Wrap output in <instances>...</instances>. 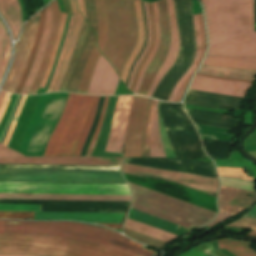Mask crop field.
Listing matches in <instances>:
<instances>
[{
	"mask_svg": "<svg viewBox=\"0 0 256 256\" xmlns=\"http://www.w3.org/2000/svg\"><path fill=\"white\" fill-rule=\"evenodd\" d=\"M209 37L207 55L256 56L254 0H202Z\"/></svg>",
	"mask_w": 256,
	"mask_h": 256,
	"instance_id": "1",
	"label": "crop field"
},
{
	"mask_svg": "<svg viewBox=\"0 0 256 256\" xmlns=\"http://www.w3.org/2000/svg\"><path fill=\"white\" fill-rule=\"evenodd\" d=\"M100 96L69 94L44 156H79L94 121Z\"/></svg>",
	"mask_w": 256,
	"mask_h": 256,
	"instance_id": "2",
	"label": "crop field"
},
{
	"mask_svg": "<svg viewBox=\"0 0 256 256\" xmlns=\"http://www.w3.org/2000/svg\"><path fill=\"white\" fill-rule=\"evenodd\" d=\"M0 228H16V229H38V230H51L57 232H63L68 234H74L79 236L91 237L96 239L108 240L116 242L122 245L133 247L139 250H143L142 245L118 234L117 232L101 227L75 224L69 222H26V221H11V220H0ZM51 231H37V230H15V229H0V233H15V234H38V235H50L61 238H67L72 240H78L83 242H89L94 244L105 245L127 251L140 256H153L150 251L143 250L139 251L126 246H122L116 243L96 240L91 238L79 237L74 235H68L63 233L51 232Z\"/></svg>",
	"mask_w": 256,
	"mask_h": 256,
	"instance_id": "3",
	"label": "crop field"
},
{
	"mask_svg": "<svg viewBox=\"0 0 256 256\" xmlns=\"http://www.w3.org/2000/svg\"><path fill=\"white\" fill-rule=\"evenodd\" d=\"M0 254L34 256H137L113 248L50 236L0 234Z\"/></svg>",
	"mask_w": 256,
	"mask_h": 256,
	"instance_id": "4",
	"label": "crop field"
},
{
	"mask_svg": "<svg viewBox=\"0 0 256 256\" xmlns=\"http://www.w3.org/2000/svg\"><path fill=\"white\" fill-rule=\"evenodd\" d=\"M109 38L102 54L120 76L138 40L133 0H105Z\"/></svg>",
	"mask_w": 256,
	"mask_h": 256,
	"instance_id": "5",
	"label": "crop field"
},
{
	"mask_svg": "<svg viewBox=\"0 0 256 256\" xmlns=\"http://www.w3.org/2000/svg\"><path fill=\"white\" fill-rule=\"evenodd\" d=\"M133 195L132 208L173 222L183 227L203 226L216 213L128 183Z\"/></svg>",
	"mask_w": 256,
	"mask_h": 256,
	"instance_id": "6",
	"label": "crop field"
},
{
	"mask_svg": "<svg viewBox=\"0 0 256 256\" xmlns=\"http://www.w3.org/2000/svg\"><path fill=\"white\" fill-rule=\"evenodd\" d=\"M0 193L130 195L127 185L0 183Z\"/></svg>",
	"mask_w": 256,
	"mask_h": 256,
	"instance_id": "7",
	"label": "crop field"
},
{
	"mask_svg": "<svg viewBox=\"0 0 256 256\" xmlns=\"http://www.w3.org/2000/svg\"><path fill=\"white\" fill-rule=\"evenodd\" d=\"M126 181L217 213L216 198L176 183L124 175Z\"/></svg>",
	"mask_w": 256,
	"mask_h": 256,
	"instance_id": "8",
	"label": "crop field"
},
{
	"mask_svg": "<svg viewBox=\"0 0 256 256\" xmlns=\"http://www.w3.org/2000/svg\"><path fill=\"white\" fill-rule=\"evenodd\" d=\"M33 212H0V219H32ZM124 214H102V213H56V212H34L33 219L49 220H74L88 223L120 224ZM124 215L121 225L98 224L113 229H121L126 219Z\"/></svg>",
	"mask_w": 256,
	"mask_h": 256,
	"instance_id": "9",
	"label": "crop field"
},
{
	"mask_svg": "<svg viewBox=\"0 0 256 256\" xmlns=\"http://www.w3.org/2000/svg\"><path fill=\"white\" fill-rule=\"evenodd\" d=\"M38 18L39 13L25 23L21 41L16 43L15 57L2 90L15 92L33 46Z\"/></svg>",
	"mask_w": 256,
	"mask_h": 256,
	"instance_id": "10",
	"label": "crop field"
},
{
	"mask_svg": "<svg viewBox=\"0 0 256 256\" xmlns=\"http://www.w3.org/2000/svg\"><path fill=\"white\" fill-rule=\"evenodd\" d=\"M122 172L172 180L195 189L216 192L217 179L122 163Z\"/></svg>",
	"mask_w": 256,
	"mask_h": 256,
	"instance_id": "11",
	"label": "crop field"
},
{
	"mask_svg": "<svg viewBox=\"0 0 256 256\" xmlns=\"http://www.w3.org/2000/svg\"><path fill=\"white\" fill-rule=\"evenodd\" d=\"M147 103V98H133L125 133L123 157H141L142 126Z\"/></svg>",
	"mask_w": 256,
	"mask_h": 256,
	"instance_id": "12",
	"label": "crop field"
},
{
	"mask_svg": "<svg viewBox=\"0 0 256 256\" xmlns=\"http://www.w3.org/2000/svg\"><path fill=\"white\" fill-rule=\"evenodd\" d=\"M161 25V43L158 52L155 54L149 65L142 84L137 94L146 95L156 73L160 69L170 48L169 18L166 0H158Z\"/></svg>",
	"mask_w": 256,
	"mask_h": 256,
	"instance_id": "13",
	"label": "crop field"
},
{
	"mask_svg": "<svg viewBox=\"0 0 256 256\" xmlns=\"http://www.w3.org/2000/svg\"><path fill=\"white\" fill-rule=\"evenodd\" d=\"M121 160L122 158H115V157L2 158L0 159V164L120 166Z\"/></svg>",
	"mask_w": 256,
	"mask_h": 256,
	"instance_id": "14",
	"label": "crop field"
},
{
	"mask_svg": "<svg viewBox=\"0 0 256 256\" xmlns=\"http://www.w3.org/2000/svg\"><path fill=\"white\" fill-rule=\"evenodd\" d=\"M132 97L133 95L118 97L113 116L112 128L105 151L121 153Z\"/></svg>",
	"mask_w": 256,
	"mask_h": 256,
	"instance_id": "15",
	"label": "crop field"
},
{
	"mask_svg": "<svg viewBox=\"0 0 256 256\" xmlns=\"http://www.w3.org/2000/svg\"><path fill=\"white\" fill-rule=\"evenodd\" d=\"M194 25H195V34H196V57L189 68V70L184 74V76L178 81L175 85L168 101L169 102H180L182 94L185 90V87L192 75L196 71L206 48V36L203 23L202 14L193 15Z\"/></svg>",
	"mask_w": 256,
	"mask_h": 256,
	"instance_id": "16",
	"label": "crop field"
},
{
	"mask_svg": "<svg viewBox=\"0 0 256 256\" xmlns=\"http://www.w3.org/2000/svg\"><path fill=\"white\" fill-rule=\"evenodd\" d=\"M119 77L102 54L97 62L87 94L114 95Z\"/></svg>",
	"mask_w": 256,
	"mask_h": 256,
	"instance_id": "17",
	"label": "crop field"
},
{
	"mask_svg": "<svg viewBox=\"0 0 256 256\" xmlns=\"http://www.w3.org/2000/svg\"><path fill=\"white\" fill-rule=\"evenodd\" d=\"M250 86L251 84L249 83L213 79L196 75L189 88L224 95L244 97Z\"/></svg>",
	"mask_w": 256,
	"mask_h": 256,
	"instance_id": "18",
	"label": "crop field"
},
{
	"mask_svg": "<svg viewBox=\"0 0 256 256\" xmlns=\"http://www.w3.org/2000/svg\"><path fill=\"white\" fill-rule=\"evenodd\" d=\"M256 202V193L229 187L220 188L218 206L219 211L236 215ZM247 207H239V206Z\"/></svg>",
	"mask_w": 256,
	"mask_h": 256,
	"instance_id": "19",
	"label": "crop field"
},
{
	"mask_svg": "<svg viewBox=\"0 0 256 256\" xmlns=\"http://www.w3.org/2000/svg\"><path fill=\"white\" fill-rule=\"evenodd\" d=\"M168 2V8H169V17H170V32H171V48L169 51V54L162 65L161 69L159 70L158 74L156 75L153 84L147 94V97H151L153 91L155 90L159 80L164 76V74L170 69V67L175 62L179 48H180V42H179V34H178V27L177 22L175 18V10H174V2L173 0H167Z\"/></svg>",
	"mask_w": 256,
	"mask_h": 256,
	"instance_id": "20",
	"label": "crop field"
},
{
	"mask_svg": "<svg viewBox=\"0 0 256 256\" xmlns=\"http://www.w3.org/2000/svg\"><path fill=\"white\" fill-rule=\"evenodd\" d=\"M0 199L130 201V196L0 194Z\"/></svg>",
	"mask_w": 256,
	"mask_h": 256,
	"instance_id": "21",
	"label": "crop field"
},
{
	"mask_svg": "<svg viewBox=\"0 0 256 256\" xmlns=\"http://www.w3.org/2000/svg\"><path fill=\"white\" fill-rule=\"evenodd\" d=\"M51 4H52V16H53L52 29H51L48 45L46 47L42 63L40 65V68L38 70V73L36 75L35 81L33 83V86L31 88V91L29 94L37 93L38 87L43 79V76H44V73H45V70H46V67H47L53 46H54V43L56 41L57 31H58V27H59V23H60L61 12L59 11L56 0H53L51 2Z\"/></svg>",
	"mask_w": 256,
	"mask_h": 256,
	"instance_id": "22",
	"label": "crop field"
},
{
	"mask_svg": "<svg viewBox=\"0 0 256 256\" xmlns=\"http://www.w3.org/2000/svg\"><path fill=\"white\" fill-rule=\"evenodd\" d=\"M50 28H51V4L46 7L45 25H44V29H43L42 38L40 40L39 49L36 54L35 60L33 62L29 77H28L20 94H28L30 91L33 80L35 78V75L37 73V70H38L41 60H42V56H43V53H44V50H45V47H46V44L48 41Z\"/></svg>",
	"mask_w": 256,
	"mask_h": 256,
	"instance_id": "23",
	"label": "crop field"
},
{
	"mask_svg": "<svg viewBox=\"0 0 256 256\" xmlns=\"http://www.w3.org/2000/svg\"><path fill=\"white\" fill-rule=\"evenodd\" d=\"M203 65L256 70V57L207 56Z\"/></svg>",
	"mask_w": 256,
	"mask_h": 256,
	"instance_id": "24",
	"label": "crop field"
},
{
	"mask_svg": "<svg viewBox=\"0 0 256 256\" xmlns=\"http://www.w3.org/2000/svg\"><path fill=\"white\" fill-rule=\"evenodd\" d=\"M70 4H71L72 12L77 13V16H76V20H75V24H74L73 33H72V36H71V39H70L60 72H59V75L57 77V80H56V83L54 85L52 92L58 91L61 86L64 74L66 72V69H67V66H68L72 51H73V48L75 46L80 28H81L83 20H84L83 16H81L77 11V6L75 4V0H70Z\"/></svg>",
	"mask_w": 256,
	"mask_h": 256,
	"instance_id": "25",
	"label": "crop field"
},
{
	"mask_svg": "<svg viewBox=\"0 0 256 256\" xmlns=\"http://www.w3.org/2000/svg\"><path fill=\"white\" fill-rule=\"evenodd\" d=\"M0 12L9 24L16 40L21 26V10L17 0H0Z\"/></svg>",
	"mask_w": 256,
	"mask_h": 256,
	"instance_id": "26",
	"label": "crop field"
},
{
	"mask_svg": "<svg viewBox=\"0 0 256 256\" xmlns=\"http://www.w3.org/2000/svg\"><path fill=\"white\" fill-rule=\"evenodd\" d=\"M95 45V35L93 33V31L91 30L87 41L85 43V46L82 50V53L80 55L79 61L77 63L76 69L74 71L72 80L70 82L69 88H68V92H77V88L80 82V78L84 69V66L87 62L88 56L91 52V50L93 49Z\"/></svg>",
	"mask_w": 256,
	"mask_h": 256,
	"instance_id": "27",
	"label": "crop field"
},
{
	"mask_svg": "<svg viewBox=\"0 0 256 256\" xmlns=\"http://www.w3.org/2000/svg\"><path fill=\"white\" fill-rule=\"evenodd\" d=\"M198 73L229 77L233 79H245V80H251V81H255L254 76L256 75V71L236 70V69H228V68L213 67V66H203V65L199 69Z\"/></svg>",
	"mask_w": 256,
	"mask_h": 256,
	"instance_id": "28",
	"label": "crop field"
},
{
	"mask_svg": "<svg viewBox=\"0 0 256 256\" xmlns=\"http://www.w3.org/2000/svg\"><path fill=\"white\" fill-rule=\"evenodd\" d=\"M135 3V11H136V17H137V24H138V31H139V41L135 47V49L133 50V52L131 53L123 71L122 74L120 76V78L123 80V82L125 83L128 71L133 63V61L135 60V58L137 57L140 49L142 48L144 41H145V31H144V23H143V16H142V11H141V4H140V0H134Z\"/></svg>",
	"mask_w": 256,
	"mask_h": 256,
	"instance_id": "29",
	"label": "crop field"
},
{
	"mask_svg": "<svg viewBox=\"0 0 256 256\" xmlns=\"http://www.w3.org/2000/svg\"><path fill=\"white\" fill-rule=\"evenodd\" d=\"M124 227L165 242H168L178 237L129 218L127 219Z\"/></svg>",
	"mask_w": 256,
	"mask_h": 256,
	"instance_id": "30",
	"label": "crop field"
},
{
	"mask_svg": "<svg viewBox=\"0 0 256 256\" xmlns=\"http://www.w3.org/2000/svg\"><path fill=\"white\" fill-rule=\"evenodd\" d=\"M128 217L132 218L134 220L143 222L145 224L154 226L156 228L162 229L164 231L173 233V234L178 235V236H181V235L185 234L183 232H180V231L176 230L177 225H174V224H171L169 222L154 218L152 216L140 213V212L132 210V209L130 210V213H129Z\"/></svg>",
	"mask_w": 256,
	"mask_h": 256,
	"instance_id": "31",
	"label": "crop field"
},
{
	"mask_svg": "<svg viewBox=\"0 0 256 256\" xmlns=\"http://www.w3.org/2000/svg\"><path fill=\"white\" fill-rule=\"evenodd\" d=\"M158 101L155 102L150 127V157H166L163 151L157 118Z\"/></svg>",
	"mask_w": 256,
	"mask_h": 256,
	"instance_id": "32",
	"label": "crop field"
},
{
	"mask_svg": "<svg viewBox=\"0 0 256 256\" xmlns=\"http://www.w3.org/2000/svg\"><path fill=\"white\" fill-rule=\"evenodd\" d=\"M95 7L98 20V40L96 45L98 46L100 52H102L108 34V24L104 0H95Z\"/></svg>",
	"mask_w": 256,
	"mask_h": 256,
	"instance_id": "33",
	"label": "crop field"
},
{
	"mask_svg": "<svg viewBox=\"0 0 256 256\" xmlns=\"http://www.w3.org/2000/svg\"><path fill=\"white\" fill-rule=\"evenodd\" d=\"M100 52L97 50L96 45L94 47V49L92 50L88 62L85 66L83 75H82V79L79 85V89H78V94H86L87 93V89H88V85H89V81L91 78V74L92 71L96 65V62L100 56Z\"/></svg>",
	"mask_w": 256,
	"mask_h": 256,
	"instance_id": "34",
	"label": "crop field"
},
{
	"mask_svg": "<svg viewBox=\"0 0 256 256\" xmlns=\"http://www.w3.org/2000/svg\"><path fill=\"white\" fill-rule=\"evenodd\" d=\"M219 248H225L236 256H256V252L249 249V243L231 240H217Z\"/></svg>",
	"mask_w": 256,
	"mask_h": 256,
	"instance_id": "35",
	"label": "crop field"
},
{
	"mask_svg": "<svg viewBox=\"0 0 256 256\" xmlns=\"http://www.w3.org/2000/svg\"><path fill=\"white\" fill-rule=\"evenodd\" d=\"M44 16H45V9L40 11L39 27H38L37 35H36V38H35L34 46H33L32 52L30 54L27 67H26V69L24 71V74H23V76L21 78V81H20V83L18 85V88H17L15 93H19L20 92V90H21V88H22V86H23V84H24V82H25V80H26V78H27V76L29 74L32 62L34 60L35 54H36L37 49H38L39 40L41 38L43 24H44Z\"/></svg>",
	"mask_w": 256,
	"mask_h": 256,
	"instance_id": "36",
	"label": "crop field"
},
{
	"mask_svg": "<svg viewBox=\"0 0 256 256\" xmlns=\"http://www.w3.org/2000/svg\"><path fill=\"white\" fill-rule=\"evenodd\" d=\"M147 5H148V10H149V19H150V30H151V42H150V47L149 49L147 50L146 54L144 55L142 61L140 62L135 74H134V77H133V80H132V83H131V86L129 88V90L133 91V88L135 86V83L137 81V78L139 76V72L141 70V68L143 67L146 59L148 58V56L150 55L151 51H152V48L154 46V43H155V30H154V18H153V9H152V5L151 3H148L147 2Z\"/></svg>",
	"mask_w": 256,
	"mask_h": 256,
	"instance_id": "37",
	"label": "crop field"
},
{
	"mask_svg": "<svg viewBox=\"0 0 256 256\" xmlns=\"http://www.w3.org/2000/svg\"><path fill=\"white\" fill-rule=\"evenodd\" d=\"M75 15L76 14H71V16H70V20H69V24H68V28H67V32H66V36H65V40H64V44H63L62 50L60 52L59 59H58V62H57L54 74H53V76L51 78V81H50V83H49V85L47 87V91L46 92H50L51 91V89L53 87V84L55 82V79H56V77L58 75V72H59V69H60V66H61L64 54H65V51H66V48H67V44L69 42L70 35L72 33Z\"/></svg>",
	"mask_w": 256,
	"mask_h": 256,
	"instance_id": "38",
	"label": "crop field"
},
{
	"mask_svg": "<svg viewBox=\"0 0 256 256\" xmlns=\"http://www.w3.org/2000/svg\"><path fill=\"white\" fill-rule=\"evenodd\" d=\"M152 5H153L154 17H155L156 43H155V47H154V50H153L152 54L147 59L145 65H144V67H143V69L141 71V74H140L137 86H136V88L134 90V93H137L138 88H139V86L141 84L142 78L144 76V73H145V71H146V69H147L151 59L153 58L154 54L157 52L158 47H159V43H160V26H159L158 7H157V3H152Z\"/></svg>",
	"mask_w": 256,
	"mask_h": 256,
	"instance_id": "39",
	"label": "crop field"
},
{
	"mask_svg": "<svg viewBox=\"0 0 256 256\" xmlns=\"http://www.w3.org/2000/svg\"><path fill=\"white\" fill-rule=\"evenodd\" d=\"M66 16H67V14H63V13H62L61 23H60V27H59V31H58L57 41H56V44H55V46H54V49H53V52H52V55H51V58H50V62H49V65H48L47 72H46V74H45V76H44V79H43V81H42V84H41V86H40V87H42V88L45 87V84H46L47 78H48V76H49V73H50V70H51V67H52L54 58H55V56H56V53H57L59 44H60V42H61V38H62L63 30H64V25H65V21H66Z\"/></svg>",
	"mask_w": 256,
	"mask_h": 256,
	"instance_id": "40",
	"label": "crop field"
},
{
	"mask_svg": "<svg viewBox=\"0 0 256 256\" xmlns=\"http://www.w3.org/2000/svg\"><path fill=\"white\" fill-rule=\"evenodd\" d=\"M158 117H159V128H160V133H161V138H162L165 154L167 157L175 158L174 151L172 149V146H171L168 136L166 134L165 128L163 126V122H162V118H161V114H160V106L158 108Z\"/></svg>",
	"mask_w": 256,
	"mask_h": 256,
	"instance_id": "41",
	"label": "crop field"
},
{
	"mask_svg": "<svg viewBox=\"0 0 256 256\" xmlns=\"http://www.w3.org/2000/svg\"><path fill=\"white\" fill-rule=\"evenodd\" d=\"M230 227H238V228H246L251 229L247 235H255L256 236V219L243 217L236 221L235 223L229 225Z\"/></svg>",
	"mask_w": 256,
	"mask_h": 256,
	"instance_id": "42",
	"label": "crop field"
},
{
	"mask_svg": "<svg viewBox=\"0 0 256 256\" xmlns=\"http://www.w3.org/2000/svg\"><path fill=\"white\" fill-rule=\"evenodd\" d=\"M217 170H218V174L221 176L253 181L252 177L248 178L247 175L243 174L242 169L217 167Z\"/></svg>",
	"mask_w": 256,
	"mask_h": 256,
	"instance_id": "43",
	"label": "crop field"
},
{
	"mask_svg": "<svg viewBox=\"0 0 256 256\" xmlns=\"http://www.w3.org/2000/svg\"><path fill=\"white\" fill-rule=\"evenodd\" d=\"M85 6L88 22L97 35V20L94 8V0H85Z\"/></svg>",
	"mask_w": 256,
	"mask_h": 256,
	"instance_id": "44",
	"label": "crop field"
},
{
	"mask_svg": "<svg viewBox=\"0 0 256 256\" xmlns=\"http://www.w3.org/2000/svg\"><path fill=\"white\" fill-rule=\"evenodd\" d=\"M154 101L155 100H151V104H150L149 112H148L145 141H144V157H149V127H150V121H151V115H152Z\"/></svg>",
	"mask_w": 256,
	"mask_h": 256,
	"instance_id": "45",
	"label": "crop field"
},
{
	"mask_svg": "<svg viewBox=\"0 0 256 256\" xmlns=\"http://www.w3.org/2000/svg\"><path fill=\"white\" fill-rule=\"evenodd\" d=\"M9 52H10V40H9L8 35H7L6 43H5L4 50H3V53H2V57H1V60H0V80L2 78V75L4 73V70H5L7 62H8Z\"/></svg>",
	"mask_w": 256,
	"mask_h": 256,
	"instance_id": "46",
	"label": "crop field"
},
{
	"mask_svg": "<svg viewBox=\"0 0 256 256\" xmlns=\"http://www.w3.org/2000/svg\"><path fill=\"white\" fill-rule=\"evenodd\" d=\"M0 211H39V206L0 205Z\"/></svg>",
	"mask_w": 256,
	"mask_h": 256,
	"instance_id": "47",
	"label": "crop field"
},
{
	"mask_svg": "<svg viewBox=\"0 0 256 256\" xmlns=\"http://www.w3.org/2000/svg\"><path fill=\"white\" fill-rule=\"evenodd\" d=\"M108 97H109V96H105V99H104V105H103V109H102V112H101V115H100V119H99V122H98V125H97V128H96V131H95L94 137H93V139H92V142H91L90 148H89L88 153H87V155H86V156H90V155H91V153H92V150H93V147H94V144H95V141H96V138H97V135H98L99 129H100V125H101V122H102V119H103V115H104V112H105V109H106V105H107Z\"/></svg>",
	"mask_w": 256,
	"mask_h": 256,
	"instance_id": "48",
	"label": "crop field"
},
{
	"mask_svg": "<svg viewBox=\"0 0 256 256\" xmlns=\"http://www.w3.org/2000/svg\"><path fill=\"white\" fill-rule=\"evenodd\" d=\"M26 97H27V96H23V97H22V100H21V102H20L19 108H18V110H17V113H16L15 118H14V120H13V123H12V125H11V128H10V130H9V133H8V135H7V138H6L5 142H4V145H5V146H8V143H9V141H10V138H11L12 132H13V130H14L16 121H17V119H18L19 113H20V111H21L22 105H23V103H24Z\"/></svg>",
	"mask_w": 256,
	"mask_h": 256,
	"instance_id": "49",
	"label": "crop field"
},
{
	"mask_svg": "<svg viewBox=\"0 0 256 256\" xmlns=\"http://www.w3.org/2000/svg\"><path fill=\"white\" fill-rule=\"evenodd\" d=\"M2 157H25V156L0 144V158Z\"/></svg>",
	"mask_w": 256,
	"mask_h": 256,
	"instance_id": "50",
	"label": "crop field"
},
{
	"mask_svg": "<svg viewBox=\"0 0 256 256\" xmlns=\"http://www.w3.org/2000/svg\"><path fill=\"white\" fill-rule=\"evenodd\" d=\"M144 5H145V12H146V18H147V23H148V28H149V20H148V10H147V5H146V2L144 1ZM149 41H150V30H149V40H148V43H147V47L145 49V51L148 49V46H149ZM145 51L143 52V54L141 55L140 59L138 60V62L136 63L135 67H134V70H133V73H132V76L130 78V81H129V85H130V82L132 80V77H133V74H134V71L137 67V65L139 64V62L141 61ZM129 85H128V88H129Z\"/></svg>",
	"mask_w": 256,
	"mask_h": 256,
	"instance_id": "51",
	"label": "crop field"
},
{
	"mask_svg": "<svg viewBox=\"0 0 256 256\" xmlns=\"http://www.w3.org/2000/svg\"><path fill=\"white\" fill-rule=\"evenodd\" d=\"M6 35H7V31H6L5 27L2 25V23L0 22V56L2 53Z\"/></svg>",
	"mask_w": 256,
	"mask_h": 256,
	"instance_id": "52",
	"label": "crop field"
},
{
	"mask_svg": "<svg viewBox=\"0 0 256 256\" xmlns=\"http://www.w3.org/2000/svg\"><path fill=\"white\" fill-rule=\"evenodd\" d=\"M230 217H232V216H230V215H228V214H225V213L219 212L218 217H217L213 222H211L210 224H208L207 226H208V227H211V226H213V225H215V224H217V223H219V222H221V221H223V220H225V219H227V218H230Z\"/></svg>",
	"mask_w": 256,
	"mask_h": 256,
	"instance_id": "53",
	"label": "crop field"
},
{
	"mask_svg": "<svg viewBox=\"0 0 256 256\" xmlns=\"http://www.w3.org/2000/svg\"><path fill=\"white\" fill-rule=\"evenodd\" d=\"M10 95H11V94H9V93L6 94L5 100H4L3 105H2V108H1V110H0V119H1V117H2V115H3V113H4L5 109H6V107H7V105H8Z\"/></svg>",
	"mask_w": 256,
	"mask_h": 256,
	"instance_id": "54",
	"label": "crop field"
},
{
	"mask_svg": "<svg viewBox=\"0 0 256 256\" xmlns=\"http://www.w3.org/2000/svg\"><path fill=\"white\" fill-rule=\"evenodd\" d=\"M79 8L81 10V12L84 14L85 18H86V12H85V6H84V0H77ZM87 19V18H86Z\"/></svg>",
	"mask_w": 256,
	"mask_h": 256,
	"instance_id": "55",
	"label": "crop field"
},
{
	"mask_svg": "<svg viewBox=\"0 0 256 256\" xmlns=\"http://www.w3.org/2000/svg\"><path fill=\"white\" fill-rule=\"evenodd\" d=\"M246 217L256 218V206L252 208L246 215Z\"/></svg>",
	"mask_w": 256,
	"mask_h": 256,
	"instance_id": "56",
	"label": "crop field"
},
{
	"mask_svg": "<svg viewBox=\"0 0 256 256\" xmlns=\"http://www.w3.org/2000/svg\"><path fill=\"white\" fill-rule=\"evenodd\" d=\"M21 97H22V96H20V98H19L18 104H17L16 109H15V111H14V114H13V116H12L11 122H10L9 127H8V129H7L6 133H5V135H4L3 139H2V141H1V144L3 143L5 137H6L7 133H8V130H9V128H10V125H11V123H12V120H13V118H14V115H15V113H16V110H17V108H18V105H19V102H20V100H21Z\"/></svg>",
	"mask_w": 256,
	"mask_h": 256,
	"instance_id": "57",
	"label": "crop field"
},
{
	"mask_svg": "<svg viewBox=\"0 0 256 256\" xmlns=\"http://www.w3.org/2000/svg\"><path fill=\"white\" fill-rule=\"evenodd\" d=\"M151 100V99H150ZM149 100V103H150ZM149 103H148V107H149ZM148 107H147V111H146V115H145V119H144V127H143V139H142V157H143V141H144V133H145V125H146V119H147V112H148Z\"/></svg>",
	"mask_w": 256,
	"mask_h": 256,
	"instance_id": "58",
	"label": "crop field"
},
{
	"mask_svg": "<svg viewBox=\"0 0 256 256\" xmlns=\"http://www.w3.org/2000/svg\"><path fill=\"white\" fill-rule=\"evenodd\" d=\"M5 94H6V93H4V92H0V107H1V105H2V102H3V99H4V97H5Z\"/></svg>",
	"mask_w": 256,
	"mask_h": 256,
	"instance_id": "59",
	"label": "crop field"
},
{
	"mask_svg": "<svg viewBox=\"0 0 256 256\" xmlns=\"http://www.w3.org/2000/svg\"><path fill=\"white\" fill-rule=\"evenodd\" d=\"M198 75H200V74H198ZM203 76L213 77V78H220V79H227V78L214 77V76H208V75H203ZM229 80H233V79H229ZM237 81H245V80H237ZM247 82H251V81H247ZM251 83H253V82H251Z\"/></svg>",
	"mask_w": 256,
	"mask_h": 256,
	"instance_id": "60",
	"label": "crop field"
},
{
	"mask_svg": "<svg viewBox=\"0 0 256 256\" xmlns=\"http://www.w3.org/2000/svg\"><path fill=\"white\" fill-rule=\"evenodd\" d=\"M0 256H14V255H0Z\"/></svg>",
	"mask_w": 256,
	"mask_h": 256,
	"instance_id": "61",
	"label": "crop field"
}]
</instances>
